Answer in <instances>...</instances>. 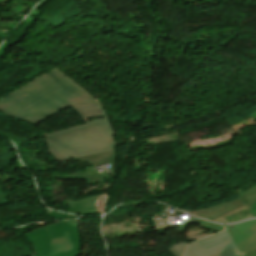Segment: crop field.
Listing matches in <instances>:
<instances>
[{
    "instance_id": "8a807250",
    "label": "crop field",
    "mask_w": 256,
    "mask_h": 256,
    "mask_svg": "<svg viewBox=\"0 0 256 256\" xmlns=\"http://www.w3.org/2000/svg\"><path fill=\"white\" fill-rule=\"evenodd\" d=\"M96 100L54 68L2 98L0 111L35 126L70 106L86 123L43 135L50 154L64 162L116 149L108 116Z\"/></svg>"
},
{
    "instance_id": "ac0d7876",
    "label": "crop field",
    "mask_w": 256,
    "mask_h": 256,
    "mask_svg": "<svg viewBox=\"0 0 256 256\" xmlns=\"http://www.w3.org/2000/svg\"><path fill=\"white\" fill-rule=\"evenodd\" d=\"M26 236L37 256H77L81 249L76 220L59 222L26 233Z\"/></svg>"
},
{
    "instance_id": "34b2d1b8",
    "label": "crop field",
    "mask_w": 256,
    "mask_h": 256,
    "mask_svg": "<svg viewBox=\"0 0 256 256\" xmlns=\"http://www.w3.org/2000/svg\"><path fill=\"white\" fill-rule=\"evenodd\" d=\"M72 159L91 164V165H93V167L108 162L112 167L111 175L113 177L116 176V170H115L116 150L110 151V152L86 155V156H81V157H75ZM52 177L59 178V179H86L88 184H98V183H102V182H109L110 180H112L109 177L107 172L96 175L94 173V170H87L85 172L74 173V174H70L68 176L53 175Z\"/></svg>"
},
{
    "instance_id": "412701ff",
    "label": "crop field",
    "mask_w": 256,
    "mask_h": 256,
    "mask_svg": "<svg viewBox=\"0 0 256 256\" xmlns=\"http://www.w3.org/2000/svg\"><path fill=\"white\" fill-rule=\"evenodd\" d=\"M184 256H240L231 236L200 246L190 243Z\"/></svg>"
},
{
    "instance_id": "f4fd0767",
    "label": "crop field",
    "mask_w": 256,
    "mask_h": 256,
    "mask_svg": "<svg viewBox=\"0 0 256 256\" xmlns=\"http://www.w3.org/2000/svg\"><path fill=\"white\" fill-rule=\"evenodd\" d=\"M238 199L206 209L193 211L192 214L212 221L230 211H233L250 202L256 203V185L237 193Z\"/></svg>"
},
{
    "instance_id": "dd49c442",
    "label": "crop field",
    "mask_w": 256,
    "mask_h": 256,
    "mask_svg": "<svg viewBox=\"0 0 256 256\" xmlns=\"http://www.w3.org/2000/svg\"><path fill=\"white\" fill-rule=\"evenodd\" d=\"M224 227L231 234L241 255L256 251V220H249Z\"/></svg>"
},
{
    "instance_id": "e52e79f7",
    "label": "crop field",
    "mask_w": 256,
    "mask_h": 256,
    "mask_svg": "<svg viewBox=\"0 0 256 256\" xmlns=\"http://www.w3.org/2000/svg\"><path fill=\"white\" fill-rule=\"evenodd\" d=\"M105 194H100L80 200H71L67 201L71 210L69 212L77 213V214H94L99 213L98 211V200L99 197Z\"/></svg>"
},
{
    "instance_id": "d8731c3e",
    "label": "crop field",
    "mask_w": 256,
    "mask_h": 256,
    "mask_svg": "<svg viewBox=\"0 0 256 256\" xmlns=\"http://www.w3.org/2000/svg\"><path fill=\"white\" fill-rule=\"evenodd\" d=\"M256 217V204H248L237 209L221 218L215 219L217 223H235L244 219Z\"/></svg>"
},
{
    "instance_id": "5a996713",
    "label": "crop field",
    "mask_w": 256,
    "mask_h": 256,
    "mask_svg": "<svg viewBox=\"0 0 256 256\" xmlns=\"http://www.w3.org/2000/svg\"><path fill=\"white\" fill-rule=\"evenodd\" d=\"M186 246V243L180 242L172 247H169L168 249L174 256H183Z\"/></svg>"
},
{
    "instance_id": "3316defc",
    "label": "crop field",
    "mask_w": 256,
    "mask_h": 256,
    "mask_svg": "<svg viewBox=\"0 0 256 256\" xmlns=\"http://www.w3.org/2000/svg\"><path fill=\"white\" fill-rule=\"evenodd\" d=\"M226 236H229V233L225 230L222 233H218V234H216L214 236H211V237L199 240V243H200V245H202V244H205V243H208V242H211V241H214V240L226 237Z\"/></svg>"
},
{
    "instance_id": "28ad6ade",
    "label": "crop field",
    "mask_w": 256,
    "mask_h": 256,
    "mask_svg": "<svg viewBox=\"0 0 256 256\" xmlns=\"http://www.w3.org/2000/svg\"><path fill=\"white\" fill-rule=\"evenodd\" d=\"M46 213L56 219H64V218H72V217H76V216H72V215H68V214H63V213H58V212H54L51 210H46Z\"/></svg>"
},
{
    "instance_id": "d1516ede",
    "label": "crop field",
    "mask_w": 256,
    "mask_h": 256,
    "mask_svg": "<svg viewBox=\"0 0 256 256\" xmlns=\"http://www.w3.org/2000/svg\"><path fill=\"white\" fill-rule=\"evenodd\" d=\"M8 203H10L9 200L7 199L6 195L0 188V206L8 204Z\"/></svg>"
},
{
    "instance_id": "22f410ed",
    "label": "crop field",
    "mask_w": 256,
    "mask_h": 256,
    "mask_svg": "<svg viewBox=\"0 0 256 256\" xmlns=\"http://www.w3.org/2000/svg\"><path fill=\"white\" fill-rule=\"evenodd\" d=\"M242 256H256V252H254V253H249V254H245V255H242Z\"/></svg>"
}]
</instances>
